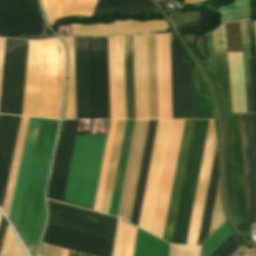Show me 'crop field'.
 I'll return each instance as SVG.
<instances>
[{"label": "crop field", "mask_w": 256, "mask_h": 256, "mask_svg": "<svg viewBox=\"0 0 256 256\" xmlns=\"http://www.w3.org/2000/svg\"><path fill=\"white\" fill-rule=\"evenodd\" d=\"M77 118H109L107 37L74 38Z\"/></svg>", "instance_id": "1"}, {"label": "crop field", "mask_w": 256, "mask_h": 256, "mask_svg": "<svg viewBox=\"0 0 256 256\" xmlns=\"http://www.w3.org/2000/svg\"><path fill=\"white\" fill-rule=\"evenodd\" d=\"M58 121L41 119L26 188L18 232L36 256L37 244L45 220L44 189L56 136Z\"/></svg>", "instance_id": "2"}, {"label": "crop field", "mask_w": 256, "mask_h": 256, "mask_svg": "<svg viewBox=\"0 0 256 256\" xmlns=\"http://www.w3.org/2000/svg\"><path fill=\"white\" fill-rule=\"evenodd\" d=\"M105 138L76 135L63 201L93 208Z\"/></svg>", "instance_id": "3"}, {"label": "crop field", "mask_w": 256, "mask_h": 256, "mask_svg": "<svg viewBox=\"0 0 256 256\" xmlns=\"http://www.w3.org/2000/svg\"><path fill=\"white\" fill-rule=\"evenodd\" d=\"M209 120H195L172 243L185 244Z\"/></svg>", "instance_id": "4"}, {"label": "crop field", "mask_w": 256, "mask_h": 256, "mask_svg": "<svg viewBox=\"0 0 256 256\" xmlns=\"http://www.w3.org/2000/svg\"><path fill=\"white\" fill-rule=\"evenodd\" d=\"M225 175L236 224H246L238 114L225 115Z\"/></svg>", "instance_id": "5"}, {"label": "crop field", "mask_w": 256, "mask_h": 256, "mask_svg": "<svg viewBox=\"0 0 256 256\" xmlns=\"http://www.w3.org/2000/svg\"><path fill=\"white\" fill-rule=\"evenodd\" d=\"M28 40L6 39L0 113L21 115Z\"/></svg>", "instance_id": "6"}, {"label": "crop field", "mask_w": 256, "mask_h": 256, "mask_svg": "<svg viewBox=\"0 0 256 256\" xmlns=\"http://www.w3.org/2000/svg\"><path fill=\"white\" fill-rule=\"evenodd\" d=\"M0 35L42 38L43 21L37 0H0Z\"/></svg>", "instance_id": "7"}, {"label": "crop field", "mask_w": 256, "mask_h": 256, "mask_svg": "<svg viewBox=\"0 0 256 256\" xmlns=\"http://www.w3.org/2000/svg\"><path fill=\"white\" fill-rule=\"evenodd\" d=\"M47 202L49 206V223L114 240L116 218L48 200Z\"/></svg>", "instance_id": "8"}, {"label": "crop field", "mask_w": 256, "mask_h": 256, "mask_svg": "<svg viewBox=\"0 0 256 256\" xmlns=\"http://www.w3.org/2000/svg\"><path fill=\"white\" fill-rule=\"evenodd\" d=\"M171 120H158L138 227L150 232Z\"/></svg>", "instance_id": "9"}, {"label": "crop field", "mask_w": 256, "mask_h": 256, "mask_svg": "<svg viewBox=\"0 0 256 256\" xmlns=\"http://www.w3.org/2000/svg\"><path fill=\"white\" fill-rule=\"evenodd\" d=\"M184 120H172L151 233L162 238Z\"/></svg>", "instance_id": "10"}, {"label": "crop field", "mask_w": 256, "mask_h": 256, "mask_svg": "<svg viewBox=\"0 0 256 256\" xmlns=\"http://www.w3.org/2000/svg\"><path fill=\"white\" fill-rule=\"evenodd\" d=\"M42 242L94 256H112L114 244L113 240L49 223Z\"/></svg>", "instance_id": "11"}, {"label": "crop field", "mask_w": 256, "mask_h": 256, "mask_svg": "<svg viewBox=\"0 0 256 256\" xmlns=\"http://www.w3.org/2000/svg\"><path fill=\"white\" fill-rule=\"evenodd\" d=\"M147 122L148 120H135L134 122V128L117 214L118 217H121L127 221L130 220Z\"/></svg>", "instance_id": "12"}, {"label": "crop field", "mask_w": 256, "mask_h": 256, "mask_svg": "<svg viewBox=\"0 0 256 256\" xmlns=\"http://www.w3.org/2000/svg\"><path fill=\"white\" fill-rule=\"evenodd\" d=\"M77 120H65L61 140L54 159L47 198L61 201L63 199L70 155Z\"/></svg>", "instance_id": "13"}, {"label": "crop field", "mask_w": 256, "mask_h": 256, "mask_svg": "<svg viewBox=\"0 0 256 256\" xmlns=\"http://www.w3.org/2000/svg\"><path fill=\"white\" fill-rule=\"evenodd\" d=\"M158 118H172L169 33L156 34Z\"/></svg>", "instance_id": "14"}, {"label": "crop field", "mask_w": 256, "mask_h": 256, "mask_svg": "<svg viewBox=\"0 0 256 256\" xmlns=\"http://www.w3.org/2000/svg\"><path fill=\"white\" fill-rule=\"evenodd\" d=\"M73 36H109L135 34L145 32L166 31L169 29L166 21L138 22L132 20L118 21L109 24L71 25Z\"/></svg>", "instance_id": "15"}, {"label": "crop field", "mask_w": 256, "mask_h": 256, "mask_svg": "<svg viewBox=\"0 0 256 256\" xmlns=\"http://www.w3.org/2000/svg\"><path fill=\"white\" fill-rule=\"evenodd\" d=\"M194 120H185L163 239L171 243Z\"/></svg>", "instance_id": "16"}, {"label": "crop field", "mask_w": 256, "mask_h": 256, "mask_svg": "<svg viewBox=\"0 0 256 256\" xmlns=\"http://www.w3.org/2000/svg\"><path fill=\"white\" fill-rule=\"evenodd\" d=\"M21 117L0 115V208L2 207Z\"/></svg>", "instance_id": "17"}, {"label": "crop field", "mask_w": 256, "mask_h": 256, "mask_svg": "<svg viewBox=\"0 0 256 256\" xmlns=\"http://www.w3.org/2000/svg\"><path fill=\"white\" fill-rule=\"evenodd\" d=\"M40 119L30 118L16 182L10 219L17 227Z\"/></svg>", "instance_id": "18"}, {"label": "crop field", "mask_w": 256, "mask_h": 256, "mask_svg": "<svg viewBox=\"0 0 256 256\" xmlns=\"http://www.w3.org/2000/svg\"><path fill=\"white\" fill-rule=\"evenodd\" d=\"M215 75L225 103V113H231L224 24L212 32Z\"/></svg>", "instance_id": "19"}, {"label": "crop field", "mask_w": 256, "mask_h": 256, "mask_svg": "<svg viewBox=\"0 0 256 256\" xmlns=\"http://www.w3.org/2000/svg\"><path fill=\"white\" fill-rule=\"evenodd\" d=\"M232 113L246 112L242 53H227Z\"/></svg>", "instance_id": "20"}, {"label": "crop field", "mask_w": 256, "mask_h": 256, "mask_svg": "<svg viewBox=\"0 0 256 256\" xmlns=\"http://www.w3.org/2000/svg\"><path fill=\"white\" fill-rule=\"evenodd\" d=\"M157 120H149L130 222L137 225Z\"/></svg>", "instance_id": "21"}, {"label": "crop field", "mask_w": 256, "mask_h": 256, "mask_svg": "<svg viewBox=\"0 0 256 256\" xmlns=\"http://www.w3.org/2000/svg\"><path fill=\"white\" fill-rule=\"evenodd\" d=\"M173 118H184L182 55L170 33Z\"/></svg>", "instance_id": "22"}, {"label": "crop field", "mask_w": 256, "mask_h": 256, "mask_svg": "<svg viewBox=\"0 0 256 256\" xmlns=\"http://www.w3.org/2000/svg\"><path fill=\"white\" fill-rule=\"evenodd\" d=\"M126 120H117L100 212L108 214Z\"/></svg>", "instance_id": "23"}, {"label": "crop field", "mask_w": 256, "mask_h": 256, "mask_svg": "<svg viewBox=\"0 0 256 256\" xmlns=\"http://www.w3.org/2000/svg\"><path fill=\"white\" fill-rule=\"evenodd\" d=\"M239 120H240L246 218H247V224H255L254 215H253V201H252V188H251V174H250L246 114H239Z\"/></svg>", "instance_id": "24"}, {"label": "crop field", "mask_w": 256, "mask_h": 256, "mask_svg": "<svg viewBox=\"0 0 256 256\" xmlns=\"http://www.w3.org/2000/svg\"><path fill=\"white\" fill-rule=\"evenodd\" d=\"M219 175H220L219 156H218L217 143H216L197 245H201L202 242L206 238H208V235H209V229H210V223H211V218H212V212H213V206H214V201H215V195H216Z\"/></svg>", "instance_id": "25"}, {"label": "crop field", "mask_w": 256, "mask_h": 256, "mask_svg": "<svg viewBox=\"0 0 256 256\" xmlns=\"http://www.w3.org/2000/svg\"><path fill=\"white\" fill-rule=\"evenodd\" d=\"M154 12L151 0H99L95 14Z\"/></svg>", "instance_id": "26"}, {"label": "crop field", "mask_w": 256, "mask_h": 256, "mask_svg": "<svg viewBox=\"0 0 256 256\" xmlns=\"http://www.w3.org/2000/svg\"><path fill=\"white\" fill-rule=\"evenodd\" d=\"M28 120H29V118L22 117L21 123H20L19 133H18V137H17V142H16L13 161H12V165H11L10 175H9L7 189H6L5 198H4V203H3V207H2V210L7 215V217H8L9 209H10V205H11V200H12V195H13V191H14L19 162H20V158H21L23 143H24L26 129H27V125H28Z\"/></svg>", "instance_id": "27"}, {"label": "crop field", "mask_w": 256, "mask_h": 256, "mask_svg": "<svg viewBox=\"0 0 256 256\" xmlns=\"http://www.w3.org/2000/svg\"><path fill=\"white\" fill-rule=\"evenodd\" d=\"M127 118H135L132 35L124 36Z\"/></svg>", "instance_id": "28"}, {"label": "crop field", "mask_w": 256, "mask_h": 256, "mask_svg": "<svg viewBox=\"0 0 256 256\" xmlns=\"http://www.w3.org/2000/svg\"><path fill=\"white\" fill-rule=\"evenodd\" d=\"M118 118H126L123 36L115 37Z\"/></svg>", "instance_id": "29"}, {"label": "crop field", "mask_w": 256, "mask_h": 256, "mask_svg": "<svg viewBox=\"0 0 256 256\" xmlns=\"http://www.w3.org/2000/svg\"><path fill=\"white\" fill-rule=\"evenodd\" d=\"M150 118H157L155 34H147Z\"/></svg>", "instance_id": "30"}, {"label": "crop field", "mask_w": 256, "mask_h": 256, "mask_svg": "<svg viewBox=\"0 0 256 256\" xmlns=\"http://www.w3.org/2000/svg\"><path fill=\"white\" fill-rule=\"evenodd\" d=\"M251 0H233V3L220 8L221 22L249 19Z\"/></svg>", "instance_id": "31"}, {"label": "crop field", "mask_w": 256, "mask_h": 256, "mask_svg": "<svg viewBox=\"0 0 256 256\" xmlns=\"http://www.w3.org/2000/svg\"><path fill=\"white\" fill-rule=\"evenodd\" d=\"M110 118H117L114 37H108Z\"/></svg>", "instance_id": "32"}, {"label": "crop field", "mask_w": 256, "mask_h": 256, "mask_svg": "<svg viewBox=\"0 0 256 256\" xmlns=\"http://www.w3.org/2000/svg\"><path fill=\"white\" fill-rule=\"evenodd\" d=\"M249 58L256 57V39L254 21H247ZM253 107L256 112V58L249 59Z\"/></svg>", "instance_id": "33"}, {"label": "crop field", "mask_w": 256, "mask_h": 256, "mask_svg": "<svg viewBox=\"0 0 256 256\" xmlns=\"http://www.w3.org/2000/svg\"><path fill=\"white\" fill-rule=\"evenodd\" d=\"M115 122H116V120H110V122H109V128H108V133H107L108 138H107L106 149H105V154H104V159H103V165H102L99 186H98V191H97V196H96V202H95V207H94V211H98V212L100 210V204H101V199H102L106 171H107L109 155H110V150H111V144H112V139H113V133H114V128H115Z\"/></svg>", "instance_id": "34"}, {"label": "crop field", "mask_w": 256, "mask_h": 256, "mask_svg": "<svg viewBox=\"0 0 256 256\" xmlns=\"http://www.w3.org/2000/svg\"><path fill=\"white\" fill-rule=\"evenodd\" d=\"M195 118H214L201 86L193 74Z\"/></svg>", "instance_id": "35"}, {"label": "crop field", "mask_w": 256, "mask_h": 256, "mask_svg": "<svg viewBox=\"0 0 256 256\" xmlns=\"http://www.w3.org/2000/svg\"><path fill=\"white\" fill-rule=\"evenodd\" d=\"M185 118H194L192 71L183 59Z\"/></svg>", "instance_id": "36"}, {"label": "crop field", "mask_w": 256, "mask_h": 256, "mask_svg": "<svg viewBox=\"0 0 256 256\" xmlns=\"http://www.w3.org/2000/svg\"><path fill=\"white\" fill-rule=\"evenodd\" d=\"M245 83H250L245 21H240ZM247 112H253L250 84H245Z\"/></svg>", "instance_id": "37"}, {"label": "crop field", "mask_w": 256, "mask_h": 256, "mask_svg": "<svg viewBox=\"0 0 256 256\" xmlns=\"http://www.w3.org/2000/svg\"><path fill=\"white\" fill-rule=\"evenodd\" d=\"M247 120H248L250 157H251V169H252V181H253V194H254V206H255V218H256V147H255L253 114H247Z\"/></svg>", "instance_id": "38"}, {"label": "crop field", "mask_w": 256, "mask_h": 256, "mask_svg": "<svg viewBox=\"0 0 256 256\" xmlns=\"http://www.w3.org/2000/svg\"><path fill=\"white\" fill-rule=\"evenodd\" d=\"M232 233L226 223L214 233L203 245L202 256H209Z\"/></svg>", "instance_id": "39"}, {"label": "crop field", "mask_w": 256, "mask_h": 256, "mask_svg": "<svg viewBox=\"0 0 256 256\" xmlns=\"http://www.w3.org/2000/svg\"><path fill=\"white\" fill-rule=\"evenodd\" d=\"M224 221H225V216L223 214L222 205H221L220 182H219L217 195H216V201H215V207H214V212H213V218H212V223H211L210 235L214 231H216L222 225V223Z\"/></svg>", "instance_id": "40"}, {"label": "crop field", "mask_w": 256, "mask_h": 256, "mask_svg": "<svg viewBox=\"0 0 256 256\" xmlns=\"http://www.w3.org/2000/svg\"><path fill=\"white\" fill-rule=\"evenodd\" d=\"M243 244L240 243L235 237L220 253L216 256H231L236 252Z\"/></svg>", "instance_id": "41"}, {"label": "crop field", "mask_w": 256, "mask_h": 256, "mask_svg": "<svg viewBox=\"0 0 256 256\" xmlns=\"http://www.w3.org/2000/svg\"><path fill=\"white\" fill-rule=\"evenodd\" d=\"M136 232H137V229L130 226L125 256H133Z\"/></svg>", "instance_id": "42"}, {"label": "crop field", "mask_w": 256, "mask_h": 256, "mask_svg": "<svg viewBox=\"0 0 256 256\" xmlns=\"http://www.w3.org/2000/svg\"><path fill=\"white\" fill-rule=\"evenodd\" d=\"M62 249L42 243L40 256H61Z\"/></svg>", "instance_id": "43"}, {"label": "crop field", "mask_w": 256, "mask_h": 256, "mask_svg": "<svg viewBox=\"0 0 256 256\" xmlns=\"http://www.w3.org/2000/svg\"><path fill=\"white\" fill-rule=\"evenodd\" d=\"M7 225H8V223L3 218V216H1V220H0V249H1L2 242H3L4 236H5Z\"/></svg>", "instance_id": "44"}, {"label": "crop field", "mask_w": 256, "mask_h": 256, "mask_svg": "<svg viewBox=\"0 0 256 256\" xmlns=\"http://www.w3.org/2000/svg\"><path fill=\"white\" fill-rule=\"evenodd\" d=\"M235 236L232 234L217 250H215L210 256H215L220 252Z\"/></svg>", "instance_id": "45"}, {"label": "crop field", "mask_w": 256, "mask_h": 256, "mask_svg": "<svg viewBox=\"0 0 256 256\" xmlns=\"http://www.w3.org/2000/svg\"><path fill=\"white\" fill-rule=\"evenodd\" d=\"M251 240H252V233L251 230H242ZM253 241V240H252Z\"/></svg>", "instance_id": "46"}, {"label": "crop field", "mask_w": 256, "mask_h": 256, "mask_svg": "<svg viewBox=\"0 0 256 256\" xmlns=\"http://www.w3.org/2000/svg\"><path fill=\"white\" fill-rule=\"evenodd\" d=\"M180 5V7H183L184 0H175Z\"/></svg>", "instance_id": "47"}, {"label": "crop field", "mask_w": 256, "mask_h": 256, "mask_svg": "<svg viewBox=\"0 0 256 256\" xmlns=\"http://www.w3.org/2000/svg\"><path fill=\"white\" fill-rule=\"evenodd\" d=\"M68 250L63 249L62 256H67Z\"/></svg>", "instance_id": "48"}, {"label": "crop field", "mask_w": 256, "mask_h": 256, "mask_svg": "<svg viewBox=\"0 0 256 256\" xmlns=\"http://www.w3.org/2000/svg\"><path fill=\"white\" fill-rule=\"evenodd\" d=\"M254 120H255V134H256V114H254Z\"/></svg>", "instance_id": "49"}, {"label": "crop field", "mask_w": 256, "mask_h": 256, "mask_svg": "<svg viewBox=\"0 0 256 256\" xmlns=\"http://www.w3.org/2000/svg\"><path fill=\"white\" fill-rule=\"evenodd\" d=\"M0 216H1V214H0Z\"/></svg>", "instance_id": "50"}, {"label": "crop field", "mask_w": 256, "mask_h": 256, "mask_svg": "<svg viewBox=\"0 0 256 256\" xmlns=\"http://www.w3.org/2000/svg\"><path fill=\"white\" fill-rule=\"evenodd\" d=\"M256 244V243H255Z\"/></svg>", "instance_id": "51"}, {"label": "crop field", "mask_w": 256, "mask_h": 256, "mask_svg": "<svg viewBox=\"0 0 256 256\" xmlns=\"http://www.w3.org/2000/svg\"><path fill=\"white\" fill-rule=\"evenodd\" d=\"M87 256V255H86Z\"/></svg>", "instance_id": "52"}]
</instances>
